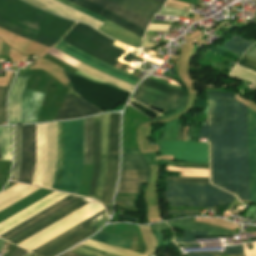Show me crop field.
I'll return each mask as SVG.
<instances>
[{"mask_svg":"<svg viewBox=\"0 0 256 256\" xmlns=\"http://www.w3.org/2000/svg\"><path fill=\"white\" fill-rule=\"evenodd\" d=\"M209 121L200 136L211 142L213 183L250 201L247 106L232 93H208Z\"/></svg>","mask_w":256,"mask_h":256,"instance_id":"obj_1","label":"crop field"},{"mask_svg":"<svg viewBox=\"0 0 256 256\" xmlns=\"http://www.w3.org/2000/svg\"><path fill=\"white\" fill-rule=\"evenodd\" d=\"M73 23L21 0H0L1 27L48 47L55 45Z\"/></svg>","mask_w":256,"mask_h":256,"instance_id":"obj_2","label":"crop field"},{"mask_svg":"<svg viewBox=\"0 0 256 256\" xmlns=\"http://www.w3.org/2000/svg\"><path fill=\"white\" fill-rule=\"evenodd\" d=\"M83 168V119L64 122L63 168L59 190L77 194Z\"/></svg>","mask_w":256,"mask_h":256,"instance_id":"obj_3","label":"crop field"},{"mask_svg":"<svg viewBox=\"0 0 256 256\" xmlns=\"http://www.w3.org/2000/svg\"><path fill=\"white\" fill-rule=\"evenodd\" d=\"M166 183V197L171 206L211 207L231 204L234 199V196L210 184Z\"/></svg>","mask_w":256,"mask_h":256,"instance_id":"obj_4","label":"crop field"},{"mask_svg":"<svg viewBox=\"0 0 256 256\" xmlns=\"http://www.w3.org/2000/svg\"><path fill=\"white\" fill-rule=\"evenodd\" d=\"M90 27L77 23L62 41L114 66L125 51L111 45L114 40Z\"/></svg>","mask_w":256,"mask_h":256,"instance_id":"obj_5","label":"crop field"},{"mask_svg":"<svg viewBox=\"0 0 256 256\" xmlns=\"http://www.w3.org/2000/svg\"><path fill=\"white\" fill-rule=\"evenodd\" d=\"M28 77L16 75L8 98L9 124L37 122L43 92L24 89Z\"/></svg>","mask_w":256,"mask_h":256,"instance_id":"obj_6","label":"crop field"},{"mask_svg":"<svg viewBox=\"0 0 256 256\" xmlns=\"http://www.w3.org/2000/svg\"><path fill=\"white\" fill-rule=\"evenodd\" d=\"M161 155H174V160L208 163V144L184 141H159Z\"/></svg>","mask_w":256,"mask_h":256,"instance_id":"obj_7","label":"crop field"},{"mask_svg":"<svg viewBox=\"0 0 256 256\" xmlns=\"http://www.w3.org/2000/svg\"><path fill=\"white\" fill-rule=\"evenodd\" d=\"M119 117L120 114H110L108 172L101 199L108 204L112 201L118 172Z\"/></svg>","mask_w":256,"mask_h":256,"instance_id":"obj_8","label":"crop field"},{"mask_svg":"<svg viewBox=\"0 0 256 256\" xmlns=\"http://www.w3.org/2000/svg\"><path fill=\"white\" fill-rule=\"evenodd\" d=\"M107 219L108 216L105 213L100 217L94 219L93 221L89 222L88 224L77 229L76 231L72 232L71 234L60 239L59 241L48 246L47 248L41 250L37 254H39V256H54L71 247L72 245L84 239L93 232L97 231L96 229H99L107 221Z\"/></svg>","mask_w":256,"mask_h":256,"instance_id":"obj_9","label":"crop field"},{"mask_svg":"<svg viewBox=\"0 0 256 256\" xmlns=\"http://www.w3.org/2000/svg\"><path fill=\"white\" fill-rule=\"evenodd\" d=\"M36 125L22 126V164L18 181L31 184L35 165Z\"/></svg>","mask_w":256,"mask_h":256,"instance_id":"obj_10","label":"crop field"},{"mask_svg":"<svg viewBox=\"0 0 256 256\" xmlns=\"http://www.w3.org/2000/svg\"><path fill=\"white\" fill-rule=\"evenodd\" d=\"M80 199H82V197L69 195L64 199L60 200L59 202L48 207L47 209L43 210L42 212L38 213L37 215L21 223L20 225L16 226L15 228L4 233L0 237L6 241H9L15 238L16 236L20 235L21 233L27 231L28 229L34 227L35 225L39 224L40 222L46 220L47 218L53 216L59 211L65 209L66 207L72 205L73 203L77 202Z\"/></svg>","mask_w":256,"mask_h":256,"instance_id":"obj_11","label":"crop field"},{"mask_svg":"<svg viewBox=\"0 0 256 256\" xmlns=\"http://www.w3.org/2000/svg\"><path fill=\"white\" fill-rule=\"evenodd\" d=\"M56 1H59V2L65 4L69 7H72V8H74V9H76V10L82 12V13H85V14H87V15L95 18V19H98V20L104 22L105 24L98 29L102 33H104V34H106V35H108V36H110V37H112L116 40H119V41H121V42H123V43H125L129 46H134V47H137V48L140 47V44H141L143 38H141V37L129 32V31L115 25L114 23H112V22H110V21H108V20H106V19H104V18H102V17H100V16H98V15H96V14H94V13H92V12L74 4V3H72V2H69L67 0H56Z\"/></svg>","mask_w":256,"mask_h":256,"instance_id":"obj_12","label":"crop field"},{"mask_svg":"<svg viewBox=\"0 0 256 256\" xmlns=\"http://www.w3.org/2000/svg\"><path fill=\"white\" fill-rule=\"evenodd\" d=\"M133 98L166 109L183 108L186 99L184 97L168 95L142 84H140L134 93Z\"/></svg>","mask_w":256,"mask_h":256,"instance_id":"obj_13","label":"crop field"},{"mask_svg":"<svg viewBox=\"0 0 256 256\" xmlns=\"http://www.w3.org/2000/svg\"><path fill=\"white\" fill-rule=\"evenodd\" d=\"M99 112L101 111L98 108L83 101L80 96L70 88L55 120L72 119Z\"/></svg>","mask_w":256,"mask_h":256,"instance_id":"obj_14","label":"crop field"},{"mask_svg":"<svg viewBox=\"0 0 256 256\" xmlns=\"http://www.w3.org/2000/svg\"><path fill=\"white\" fill-rule=\"evenodd\" d=\"M28 1H31L43 8H46L58 15L88 23L97 29L103 25V23L85 14H82L72 8H69L59 2H56L54 0H28Z\"/></svg>","mask_w":256,"mask_h":256,"instance_id":"obj_15","label":"crop field"},{"mask_svg":"<svg viewBox=\"0 0 256 256\" xmlns=\"http://www.w3.org/2000/svg\"><path fill=\"white\" fill-rule=\"evenodd\" d=\"M251 203L256 204V112L248 108Z\"/></svg>","mask_w":256,"mask_h":256,"instance_id":"obj_16","label":"crop field"},{"mask_svg":"<svg viewBox=\"0 0 256 256\" xmlns=\"http://www.w3.org/2000/svg\"><path fill=\"white\" fill-rule=\"evenodd\" d=\"M46 165V124L37 125L36 165L33 176L34 185L41 186Z\"/></svg>","mask_w":256,"mask_h":256,"instance_id":"obj_17","label":"crop field"},{"mask_svg":"<svg viewBox=\"0 0 256 256\" xmlns=\"http://www.w3.org/2000/svg\"><path fill=\"white\" fill-rule=\"evenodd\" d=\"M56 166V123L47 124V165L42 186L51 188Z\"/></svg>","mask_w":256,"mask_h":256,"instance_id":"obj_18","label":"crop field"},{"mask_svg":"<svg viewBox=\"0 0 256 256\" xmlns=\"http://www.w3.org/2000/svg\"><path fill=\"white\" fill-rule=\"evenodd\" d=\"M109 114L101 116V169L95 198L100 200L107 172Z\"/></svg>","mask_w":256,"mask_h":256,"instance_id":"obj_19","label":"crop field"},{"mask_svg":"<svg viewBox=\"0 0 256 256\" xmlns=\"http://www.w3.org/2000/svg\"><path fill=\"white\" fill-rule=\"evenodd\" d=\"M149 171L121 170L117 193H138L141 183H147Z\"/></svg>","mask_w":256,"mask_h":256,"instance_id":"obj_20","label":"crop field"},{"mask_svg":"<svg viewBox=\"0 0 256 256\" xmlns=\"http://www.w3.org/2000/svg\"><path fill=\"white\" fill-rule=\"evenodd\" d=\"M143 37L145 30L86 0H70Z\"/></svg>","mask_w":256,"mask_h":256,"instance_id":"obj_21","label":"crop field"},{"mask_svg":"<svg viewBox=\"0 0 256 256\" xmlns=\"http://www.w3.org/2000/svg\"><path fill=\"white\" fill-rule=\"evenodd\" d=\"M134 13L151 20L152 16L158 12L162 6L150 0H111Z\"/></svg>","mask_w":256,"mask_h":256,"instance_id":"obj_22","label":"crop field"},{"mask_svg":"<svg viewBox=\"0 0 256 256\" xmlns=\"http://www.w3.org/2000/svg\"><path fill=\"white\" fill-rule=\"evenodd\" d=\"M100 169V116L94 117L93 170L88 196L94 197Z\"/></svg>","mask_w":256,"mask_h":256,"instance_id":"obj_23","label":"crop field"},{"mask_svg":"<svg viewBox=\"0 0 256 256\" xmlns=\"http://www.w3.org/2000/svg\"><path fill=\"white\" fill-rule=\"evenodd\" d=\"M90 1L108 9L109 11L123 17L124 19L136 24L137 26L143 29H145L148 23L150 22L109 0H90Z\"/></svg>","mask_w":256,"mask_h":256,"instance_id":"obj_24","label":"crop field"},{"mask_svg":"<svg viewBox=\"0 0 256 256\" xmlns=\"http://www.w3.org/2000/svg\"><path fill=\"white\" fill-rule=\"evenodd\" d=\"M89 201H91V199L85 198V199L81 200L80 202L69 207L68 209L64 210L63 212L59 213L58 215L54 216L53 218L47 220L46 222L42 223L41 225H39L36 228L32 229L31 231L27 232L26 234L15 239L11 243H13L15 245L21 243L22 241L26 240L27 238L31 237L32 235L36 234L37 232L41 231L42 229L46 228L47 226L51 225L52 223L58 221L59 219L68 215L69 213L73 212L74 210L78 209L79 207L83 206L84 204L88 203Z\"/></svg>","mask_w":256,"mask_h":256,"instance_id":"obj_25","label":"crop field"},{"mask_svg":"<svg viewBox=\"0 0 256 256\" xmlns=\"http://www.w3.org/2000/svg\"><path fill=\"white\" fill-rule=\"evenodd\" d=\"M238 64L256 72V61H254L252 59H249V58L243 56ZM239 65H237L234 68V70L230 73V75L255 81L252 87L256 89V73H254L248 69H245Z\"/></svg>","mask_w":256,"mask_h":256,"instance_id":"obj_26","label":"crop field"},{"mask_svg":"<svg viewBox=\"0 0 256 256\" xmlns=\"http://www.w3.org/2000/svg\"><path fill=\"white\" fill-rule=\"evenodd\" d=\"M75 68H77V69H79V70L97 78V79H100V80H102L106 83H109V84L114 85L116 87H119L123 90H126L128 92L132 91L133 88H134V86H132V85H129V84L124 83L120 80L112 78V77H110L106 74H103V73H101V72H99V71H97V70H95V69H93V68H91V67H89V66H87L83 63H81V62Z\"/></svg>","mask_w":256,"mask_h":256,"instance_id":"obj_27","label":"crop field"},{"mask_svg":"<svg viewBox=\"0 0 256 256\" xmlns=\"http://www.w3.org/2000/svg\"><path fill=\"white\" fill-rule=\"evenodd\" d=\"M57 45L65 48V49L73 52L74 54H76V55H78V56H80V57H82V58H84V59H86V60H88V61H90V62H92V63H94V64H96V65H98V66H100L102 68H104V69H106V70H109V71H111V72H113L115 74H118L120 76L126 77V78L131 79V80H134L136 82L140 81V79L135 78V77L129 75V73L124 72L122 70H119V69H117L115 67H112L110 65H107V64H105V63H103V62H101V61H99V60H97V59H95V58H93V57H91V56H89V55H87V54H85V53H83V52H81V51H79V50H77V49H75V48L65 44V43H63V42H61V41Z\"/></svg>","mask_w":256,"mask_h":256,"instance_id":"obj_28","label":"crop field"},{"mask_svg":"<svg viewBox=\"0 0 256 256\" xmlns=\"http://www.w3.org/2000/svg\"><path fill=\"white\" fill-rule=\"evenodd\" d=\"M93 117L84 119V164H92Z\"/></svg>","mask_w":256,"mask_h":256,"instance_id":"obj_29","label":"crop field"},{"mask_svg":"<svg viewBox=\"0 0 256 256\" xmlns=\"http://www.w3.org/2000/svg\"><path fill=\"white\" fill-rule=\"evenodd\" d=\"M21 164V126L14 127V164L12 170V180L18 178V173Z\"/></svg>","mask_w":256,"mask_h":256,"instance_id":"obj_30","label":"crop field"},{"mask_svg":"<svg viewBox=\"0 0 256 256\" xmlns=\"http://www.w3.org/2000/svg\"><path fill=\"white\" fill-rule=\"evenodd\" d=\"M122 169L148 170L142 155L122 154Z\"/></svg>","mask_w":256,"mask_h":256,"instance_id":"obj_31","label":"crop field"},{"mask_svg":"<svg viewBox=\"0 0 256 256\" xmlns=\"http://www.w3.org/2000/svg\"><path fill=\"white\" fill-rule=\"evenodd\" d=\"M246 40L237 35H233L232 38L224 44L223 48L241 56L244 51L252 44Z\"/></svg>","mask_w":256,"mask_h":256,"instance_id":"obj_32","label":"crop field"},{"mask_svg":"<svg viewBox=\"0 0 256 256\" xmlns=\"http://www.w3.org/2000/svg\"><path fill=\"white\" fill-rule=\"evenodd\" d=\"M0 150L3 160H11V133L8 127L0 128Z\"/></svg>","mask_w":256,"mask_h":256,"instance_id":"obj_33","label":"crop field"},{"mask_svg":"<svg viewBox=\"0 0 256 256\" xmlns=\"http://www.w3.org/2000/svg\"><path fill=\"white\" fill-rule=\"evenodd\" d=\"M91 239H95L98 241H102V242L109 243V244L126 248V249H128V247L132 243V240L124 239L121 237L113 236V235L102 233V232L92 237Z\"/></svg>","mask_w":256,"mask_h":256,"instance_id":"obj_34","label":"crop field"},{"mask_svg":"<svg viewBox=\"0 0 256 256\" xmlns=\"http://www.w3.org/2000/svg\"><path fill=\"white\" fill-rule=\"evenodd\" d=\"M78 246H80V245H78ZM78 246H76V247H78ZM76 247L72 248L71 250L75 249ZM71 250H69V251H71ZM72 252H76V253L86 255V256H118V255H114L111 253L103 252V251L92 249V248L85 247V246H80L77 249L73 250ZM62 256H80V255H76V254L67 252V253L63 254Z\"/></svg>","mask_w":256,"mask_h":256,"instance_id":"obj_35","label":"crop field"},{"mask_svg":"<svg viewBox=\"0 0 256 256\" xmlns=\"http://www.w3.org/2000/svg\"><path fill=\"white\" fill-rule=\"evenodd\" d=\"M15 73L12 74L7 87H0V123H7L6 97Z\"/></svg>","mask_w":256,"mask_h":256,"instance_id":"obj_36","label":"crop field"},{"mask_svg":"<svg viewBox=\"0 0 256 256\" xmlns=\"http://www.w3.org/2000/svg\"><path fill=\"white\" fill-rule=\"evenodd\" d=\"M142 84L148 85L150 87L159 89L161 91L167 92V93H171V94H175V95H180V96H184L186 97V92L185 90H180V89H175V88H171L168 87L158 81L152 80L147 78L144 82H142Z\"/></svg>","mask_w":256,"mask_h":256,"instance_id":"obj_37","label":"crop field"},{"mask_svg":"<svg viewBox=\"0 0 256 256\" xmlns=\"http://www.w3.org/2000/svg\"><path fill=\"white\" fill-rule=\"evenodd\" d=\"M61 166V123H57V166L52 188L56 189Z\"/></svg>","mask_w":256,"mask_h":256,"instance_id":"obj_38","label":"crop field"},{"mask_svg":"<svg viewBox=\"0 0 256 256\" xmlns=\"http://www.w3.org/2000/svg\"><path fill=\"white\" fill-rule=\"evenodd\" d=\"M39 188H35V187H28L25 190L19 192L18 194L14 195L13 197L7 199L6 201L2 202L0 204V211L5 209L6 207L12 205L13 203L19 201L20 199L26 197L27 195L33 193L34 191L38 190Z\"/></svg>","mask_w":256,"mask_h":256,"instance_id":"obj_39","label":"crop field"},{"mask_svg":"<svg viewBox=\"0 0 256 256\" xmlns=\"http://www.w3.org/2000/svg\"><path fill=\"white\" fill-rule=\"evenodd\" d=\"M85 242L91 243V244H95V245H98V246H102V247H106V248H109V249L121 251V252H124V253L132 254V255H135V256H142V255H139V254H135V253L128 252V251H125V250H121V249H118V248H115V247H111V246L104 245V244L97 243V242L90 241V240H87V241H85ZM87 243H84V242H83L82 244L88 245V246H91V247H95V248H98V249H102V250H105V251H109V252H112V253H115V254H119V255H122V256H132V255L124 254V253H121V252L109 250V249H106V248L98 247V246L91 245V244H87Z\"/></svg>","mask_w":256,"mask_h":256,"instance_id":"obj_40","label":"crop field"},{"mask_svg":"<svg viewBox=\"0 0 256 256\" xmlns=\"http://www.w3.org/2000/svg\"><path fill=\"white\" fill-rule=\"evenodd\" d=\"M103 213H105V211H102V212L98 213L97 215H95V216L91 217L90 219L86 220L85 222H83V223L79 224L78 226H76V227L72 228L71 230H69V231L65 232L64 234H62V235L58 236L57 238H55V239L51 240L50 242L46 243L45 245H43V246L39 247L38 249H36V250H34V251H32V252L36 253V252L40 251L41 249H43V248L47 247L48 245H50V244H52L53 242H55V241L59 240L60 238L64 237L65 235H67V234H69L70 232H72V231L76 230L77 228H79V227H81L82 225H84V224L88 223L89 221L93 220L94 218H96V217L100 216V215H101V214H103Z\"/></svg>","mask_w":256,"mask_h":256,"instance_id":"obj_41","label":"crop field"},{"mask_svg":"<svg viewBox=\"0 0 256 256\" xmlns=\"http://www.w3.org/2000/svg\"><path fill=\"white\" fill-rule=\"evenodd\" d=\"M28 187L27 185L17 184L4 192L0 193V202L6 200L7 198L11 197L12 195L18 193L19 191L23 190L24 188Z\"/></svg>","mask_w":256,"mask_h":256,"instance_id":"obj_42","label":"crop field"},{"mask_svg":"<svg viewBox=\"0 0 256 256\" xmlns=\"http://www.w3.org/2000/svg\"><path fill=\"white\" fill-rule=\"evenodd\" d=\"M188 254H243L241 245L226 247V251L218 252H203V253H188ZM184 255V254H181Z\"/></svg>","mask_w":256,"mask_h":256,"instance_id":"obj_43","label":"crop field"},{"mask_svg":"<svg viewBox=\"0 0 256 256\" xmlns=\"http://www.w3.org/2000/svg\"><path fill=\"white\" fill-rule=\"evenodd\" d=\"M172 180L178 182H195V183H209V178H195V177H168L165 181Z\"/></svg>","mask_w":256,"mask_h":256,"instance_id":"obj_44","label":"crop field"},{"mask_svg":"<svg viewBox=\"0 0 256 256\" xmlns=\"http://www.w3.org/2000/svg\"><path fill=\"white\" fill-rule=\"evenodd\" d=\"M56 48H58V49H60V50H62V51H64V52H66V53H68V54L74 56L75 58H77V59H79V60H81V61H83V62H85V63H87V64H89V65H91V66H93V67H95V68H98V69H100V70H102V71H104V72H106V73H108V74H110V75H112V76H115V77H117V78H120V79H122V80H125V81H127V82H129V83H132V84L136 85V82L131 81V80H128V79L123 78V77H120V76L115 75V74H113V73H111V72H109V71H106V70H104V69H102V68H100V67H97V66H95V65H93V64H91V63L85 61L84 59H82V58H80V57H78V56L72 54L71 52H69V51H67V50H65V49H63V48H61V47H59V46H57V45H56Z\"/></svg>","mask_w":256,"mask_h":256,"instance_id":"obj_45","label":"crop field"},{"mask_svg":"<svg viewBox=\"0 0 256 256\" xmlns=\"http://www.w3.org/2000/svg\"><path fill=\"white\" fill-rule=\"evenodd\" d=\"M201 237V232L199 231H191L186 232L184 239H175L176 242H188V243H194V238Z\"/></svg>","mask_w":256,"mask_h":256,"instance_id":"obj_46","label":"crop field"},{"mask_svg":"<svg viewBox=\"0 0 256 256\" xmlns=\"http://www.w3.org/2000/svg\"><path fill=\"white\" fill-rule=\"evenodd\" d=\"M168 213L169 214H176L173 217L185 216V215L198 216V212H196V211H168Z\"/></svg>","mask_w":256,"mask_h":256,"instance_id":"obj_47","label":"crop field"},{"mask_svg":"<svg viewBox=\"0 0 256 256\" xmlns=\"http://www.w3.org/2000/svg\"><path fill=\"white\" fill-rule=\"evenodd\" d=\"M169 25H154V24H150L148 30H152V31H167Z\"/></svg>","mask_w":256,"mask_h":256,"instance_id":"obj_48","label":"crop field"},{"mask_svg":"<svg viewBox=\"0 0 256 256\" xmlns=\"http://www.w3.org/2000/svg\"><path fill=\"white\" fill-rule=\"evenodd\" d=\"M151 37H154V36H146L145 37V40H144V43L142 45L143 48H148V47H155L157 45H154V42H149V39Z\"/></svg>","mask_w":256,"mask_h":256,"instance_id":"obj_49","label":"crop field"},{"mask_svg":"<svg viewBox=\"0 0 256 256\" xmlns=\"http://www.w3.org/2000/svg\"><path fill=\"white\" fill-rule=\"evenodd\" d=\"M245 55L256 59V44H255L253 47H251V48L245 53Z\"/></svg>","mask_w":256,"mask_h":256,"instance_id":"obj_50","label":"crop field"},{"mask_svg":"<svg viewBox=\"0 0 256 256\" xmlns=\"http://www.w3.org/2000/svg\"><path fill=\"white\" fill-rule=\"evenodd\" d=\"M25 250L17 247V249L13 252L11 256H22L24 254Z\"/></svg>","mask_w":256,"mask_h":256,"instance_id":"obj_51","label":"crop field"},{"mask_svg":"<svg viewBox=\"0 0 256 256\" xmlns=\"http://www.w3.org/2000/svg\"><path fill=\"white\" fill-rule=\"evenodd\" d=\"M122 153L140 154L138 149H122Z\"/></svg>","mask_w":256,"mask_h":256,"instance_id":"obj_52","label":"crop field"},{"mask_svg":"<svg viewBox=\"0 0 256 256\" xmlns=\"http://www.w3.org/2000/svg\"><path fill=\"white\" fill-rule=\"evenodd\" d=\"M134 57L135 56L128 53L122 60L129 63Z\"/></svg>","mask_w":256,"mask_h":256,"instance_id":"obj_53","label":"crop field"},{"mask_svg":"<svg viewBox=\"0 0 256 256\" xmlns=\"http://www.w3.org/2000/svg\"><path fill=\"white\" fill-rule=\"evenodd\" d=\"M182 135H183V125H180L177 140H182Z\"/></svg>","mask_w":256,"mask_h":256,"instance_id":"obj_54","label":"crop field"},{"mask_svg":"<svg viewBox=\"0 0 256 256\" xmlns=\"http://www.w3.org/2000/svg\"><path fill=\"white\" fill-rule=\"evenodd\" d=\"M183 247H201V244H182Z\"/></svg>","mask_w":256,"mask_h":256,"instance_id":"obj_55","label":"crop field"},{"mask_svg":"<svg viewBox=\"0 0 256 256\" xmlns=\"http://www.w3.org/2000/svg\"><path fill=\"white\" fill-rule=\"evenodd\" d=\"M149 78H152V79L158 80V81H160V82H162V83H164V84H167V85H169V86L176 87V86H174V85H171V84L165 83V82H163V81H161V80H159V79L153 78V77H151V76H149ZM177 88H180V87H177ZM181 89H182V88H181Z\"/></svg>","mask_w":256,"mask_h":256,"instance_id":"obj_56","label":"crop field"},{"mask_svg":"<svg viewBox=\"0 0 256 256\" xmlns=\"http://www.w3.org/2000/svg\"><path fill=\"white\" fill-rule=\"evenodd\" d=\"M4 244H5V241H3V240L0 239V250H1V248L3 247Z\"/></svg>","mask_w":256,"mask_h":256,"instance_id":"obj_57","label":"crop field"},{"mask_svg":"<svg viewBox=\"0 0 256 256\" xmlns=\"http://www.w3.org/2000/svg\"><path fill=\"white\" fill-rule=\"evenodd\" d=\"M154 1H156V2H158V3H160V4H162V5H163V3L165 2V0H154Z\"/></svg>","mask_w":256,"mask_h":256,"instance_id":"obj_58","label":"crop field"},{"mask_svg":"<svg viewBox=\"0 0 256 256\" xmlns=\"http://www.w3.org/2000/svg\"><path fill=\"white\" fill-rule=\"evenodd\" d=\"M34 254L33 253H31V255L30 256H33Z\"/></svg>","mask_w":256,"mask_h":256,"instance_id":"obj_59","label":"crop field"},{"mask_svg":"<svg viewBox=\"0 0 256 256\" xmlns=\"http://www.w3.org/2000/svg\"><path fill=\"white\" fill-rule=\"evenodd\" d=\"M0 158H1V155H0Z\"/></svg>","mask_w":256,"mask_h":256,"instance_id":"obj_60","label":"crop field"}]
</instances>
